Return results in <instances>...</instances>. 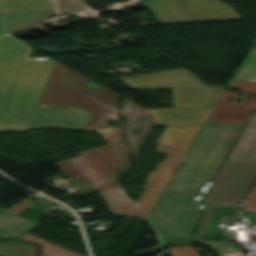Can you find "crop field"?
I'll list each match as a JSON object with an SVG mask.
<instances>
[{
  "label": "crop field",
  "instance_id": "obj_18",
  "mask_svg": "<svg viewBox=\"0 0 256 256\" xmlns=\"http://www.w3.org/2000/svg\"><path fill=\"white\" fill-rule=\"evenodd\" d=\"M193 241L207 246H214L213 248L219 253L220 256H237L242 254L240 249L230 248V242L228 241L202 239H194Z\"/></svg>",
  "mask_w": 256,
  "mask_h": 256
},
{
  "label": "crop field",
  "instance_id": "obj_30",
  "mask_svg": "<svg viewBox=\"0 0 256 256\" xmlns=\"http://www.w3.org/2000/svg\"><path fill=\"white\" fill-rule=\"evenodd\" d=\"M248 67V65H242L237 69L236 72H243L246 68Z\"/></svg>",
  "mask_w": 256,
  "mask_h": 256
},
{
  "label": "crop field",
  "instance_id": "obj_11",
  "mask_svg": "<svg viewBox=\"0 0 256 256\" xmlns=\"http://www.w3.org/2000/svg\"><path fill=\"white\" fill-rule=\"evenodd\" d=\"M132 88L205 85L184 68L123 78Z\"/></svg>",
  "mask_w": 256,
  "mask_h": 256
},
{
  "label": "crop field",
  "instance_id": "obj_15",
  "mask_svg": "<svg viewBox=\"0 0 256 256\" xmlns=\"http://www.w3.org/2000/svg\"><path fill=\"white\" fill-rule=\"evenodd\" d=\"M226 160L256 162V112L253 113Z\"/></svg>",
  "mask_w": 256,
  "mask_h": 256
},
{
  "label": "crop field",
  "instance_id": "obj_1",
  "mask_svg": "<svg viewBox=\"0 0 256 256\" xmlns=\"http://www.w3.org/2000/svg\"><path fill=\"white\" fill-rule=\"evenodd\" d=\"M243 126L205 123L150 217L168 241H190L204 205L198 204Z\"/></svg>",
  "mask_w": 256,
  "mask_h": 256
},
{
  "label": "crop field",
  "instance_id": "obj_13",
  "mask_svg": "<svg viewBox=\"0 0 256 256\" xmlns=\"http://www.w3.org/2000/svg\"><path fill=\"white\" fill-rule=\"evenodd\" d=\"M223 89L215 86L172 87L174 108L213 107Z\"/></svg>",
  "mask_w": 256,
  "mask_h": 256
},
{
  "label": "crop field",
  "instance_id": "obj_7",
  "mask_svg": "<svg viewBox=\"0 0 256 256\" xmlns=\"http://www.w3.org/2000/svg\"><path fill=\"white\" fill-rule=\"evenodd\" d=\"M160 24L243 19L218 0H151Z\"/></svg>",
  "mask_w": 256,
  "mask_h": 256
},
{
  "label": "crop field",
  "instance_id": "obj_14",
  "mask_svg": "<svg viewBox=\"0 0 256 256\" xmlns=\"http://www.w3.org/2000/svg\"><path fill=\"white\" fill-rule=\"evenodd\" d=\"M155 125L204 124L211 108L145 109Z\"/></svg>",
  "mask_w": 256,
  "mask_h": 256
},
{
  "label": "crop field",
  "instance_id": "obj_29",
  "mask_svg": "<svg viewBox=\"0 0 256 256\" xmlns=\"http://www.w3.org/2000/svg\"><path fill=\"white\" fill-rule=\"evenodd\" d=\"M147 221L148 223L151 225V227L154 229V231L157 233L158 236L157 237V240L158 242H165V240L162 238V236L159 234V232L157 231V229L155 228V226L152 224V222L150 221L149 218H147Z\"/></svg>",
  "mask_w": 256,
  "mask_h": 256
},
{
  "label": "crop field",
  "instance_id": "obj_4",
  "mask_svg": "<svg viewBox=\"0 0 256 256\" xmlns=\"http://www.w3.org/2000/svg\"><path fill=\"white\" fill-rule=\"evenodd\" d=\"M76 105L95 113L84 130L118 122L117 95L57 63L37 108Z\"/></svg>",
  "mask_w": 256,
  "mask_h": 256
},
{
  "label": "crop field",
  "instance_id": "obj_31",
  "mask_svg": "<svg viewBox=\"0 0 256 256\" xmlns=\"http://www.w3.org/2000/svg\"><path fill=\"white\" fill-rule=\"evenodd\" d=\"M100 131L104 132V137H108L110 132H111V130H109V129H107V130H100Z\"/></svg>",
  "mask_w": 256,
  "mask_h": 256
},
{
  "label": "crop field",
  "instance_id": "obj_28",
  "mask_svg": "<svg viewBox=\"0 0 256 256\" xmlns=\"http://www.w3.org/2000/svg\"><path fill=\"white\" fill-rule=\"evenodd\" d=\"M116 187H120V185L118 184V182L116 180L107 182V183H103V184H99V185H95L92 186L94 191H100V190H105V189H110V188H116Z\"/></svg>",
  "mask_w": 256,
  "mask_h": 256
},
{
  "label": "crop field",
  "instance_id": "obj_3",
  "mask_svg": "<svg viewBox=\"0 0 256 256\" xmlns=\"http://www.w3.org/2000/svg\"><path fill=\"white\" fill-rule=\"evenodd\" d=\"M32 50L11 35L0 37V95L12 94L17 106L37 104L56 63L30 57Z\"/></svg>",
  "mask_w": 256,
  "mask_h": 256
},
{
  "label": "crop field",
  "instance_id": "obj_12",
  "mask_svg": "<svg viewBox=\"0 0 256 256\" xmlns=\"http://www.w3.org/2000/svg\"><path fill=\"white\" fill-rule=\"evenodd\" d=\"M238 96L239 93L224 91L207 121L244 124L250 110L256 106V96H253L251 101L247 103L252 95L244 94L239 105H227L230 97Z\"/></svg>",
  "mask_w": 256,
  "mask_h": 256
},
{
  "label": "crop field",
  "instance_id": "obj_10",
  "mask_svg": "<svg viewBox=\"0 0 256 256\" xmlns=\"http://www.w3.org/2000/svg\"><path fill=\"white\" fill-rule=\"evenodd\" d=\"M238 206L207 205L194 238L227 240L233 225Z\"/></svg>",
  "mask_w": 256,
  "mask_h": 256
},
{
  "label": "crop field",
  "instance_id": "obj_23",
  "mask_svg": "<svg viewBox=\"0 0 256 256\" xmlns=\"http://www.w3.org/2000/svg\"><path fill=\"white\" fill-rule=\"evenodd\" d=\"M243 211H256V182L243 203Z\"/></svg>",
  "mask_w": 256,
  "mask_h": 256
},
{
  "label": "crop field",
  "instance_id": "obj_25",
  "mask_svg": "<svg viewBox=\"0 0 256 256\" xmlns=\"http://www.w3.org/2000/svg\"><path fill=\"white\" fill-rule=\"evenodd\" d=\"M241 215L249 229L256 231V212H241Z\"/></svg>",
  "mask_w": 256,
  "mask_h": 256
},
{
  "label": "crop field",
  "instance_id": "obj_16",
  "mask_svg": "<svg viewBox=\"0 0 256 256\" xmlns=\"http://www.w3.org/2000/svg\"><path fill=\"white\" fill-rule=\"evenodd\" d=\"M0 210V238L19 239L39 223Z\"/></svg>",
  "mask_w": 256,
  "mask_h": 256
},
{
  "label": "crop field",
  "instance_id": "obj_5",
  "mask_svg": "<svg viewBox=\"0 0 256 256\" xmlns=\"http://www.w3.org/2000/svg\"><path fill=\"white\" fill-rule=\"evenodd\" d=\"M110 129H113L110 137L104 138L107 145L82 151L78 157L55 164L64 174L77 180L87 178L92 184L118 177L115 168L128 161L129 153L127 145L121 140L122 128Z\"/></svg>",
  "mask_w": 256,
  "mask_h": 256
},
{
  "label": "crop field",
  "instance_id": "obj_2",
  "mask_svg": "<svg viewBox=\"0 0 256 256\" xmlns=\"http://www.w3.org/2000/svg\"><path fill=\"white\" fill-rule=\"evenodd\" d=\"M202 125L166 126L156 143V152L167 154L149 173L138 199H130L122 187L100 192L112 214L148 217L153 206L176 173L185 153Z\"/></svg>",
  "mask_w": 256,
  "mask_h": 256
},
{
  "label": "crop field",
  "instance_id": "obj_20",
  "mask_svg": "<svg viewBox=\"0 0 256 256\" xmlns=\"http://www.w3.org/2000/svg\"><path fill=\"white\" fill-rule=\"evenodd\" d=\"M14 107L9 95L0 96V120L14 116Z\"/></svg>",
  "mask_w": 256,
  "mask_h": 256
},
{
  "label": "crop field",
  "instance_id": "obj_19",
  "mask_svg": "<svg viewBox=\"0 0 256 256\" xmlns=\"http://www.w3.org/2000/svg\"><path fill=\"white\" fill-rule=\"evenodd\" d=\"M242 64L250 65L243 73H235L233 78L256 81V48H251Z\"/></svg>",
  "mask_w": 256,
  "mask_h": 256
},
{
  "label": "crop field",
  "instance_id": "obj_34",
  "mask_svg": "<svg viewBox=\"0 0 256 256\" xmlns=\"http://www.w3.org/2000/svg\"><path fill=\"white\" fill-rule=\"evenodd\" d=\"M255 111H256V109H255Z\"/></svg>",
  "mask_w": 256,
  "mask_h": 256
},
{
  "label": "crop field",
  "instance_id": "obj_33",
  "mask_svg": "<svg viewBox=\"0 0 256 256\" xmlns=\"http://www.w3.org/2000/svg\"><path fill=\"white\" fill-rule=\"evenodd\" d=\"M255 256H256V254H255Z\"/></svg>",
  "mask_w": 256,
  "mask_h": 256
},
{
  "label": "crop field",
  "instance_id": "obj_26",
  "mask_svg": "<svg viewBox=\"0 0 256 256\" xmlns=\"http://www.w3.org/2000/svg\"><path fill=\"white\" fill-rule=\"evenodd\" d=\"M31 205H33V203L26 199L20 202L19 204L15 205L14 207L8 209L6 212L16 215L21 211L25 210L26 208L30 207Z\"/></svg>",
  "mask_w": 256,
  "mask_h": 256
},
{
  "label": "crop field",
  "instance_id": "obj_8",
  "mask_svg": "<svg viewBox=\"0 0 256 256\" xmlns=\"http://www.w3.org/2000/svg\"><path fill=\"white\" fill-rule=\"evenodd\" d=\"M256 176V163L224 161L200 203L239 204Z\"/></svg>",
  "mask_w": 256,
  "mask_h": 256
},
{
  "label": "crop field",
  "instance_id": "obj_27",
  "mask_svg": "<svg viewBox=\"0 0 256 256\" xmlns=\"http://www.w3.org/2000/svg\"><path fill=\"white\" fill-rule=\"evenodd\" d=\"M70 120H68L66 117H60L57 118V120L55 121H51V122H44L42 127L45 126H57L61 129H66L65 127L69 124Z\"/></svg>",
  "mask_w": 256,
  "mask_h": 256
},
{
  "label": "crop field",
  "instance_id": "obj_32",
  "mask_svg": "<svg viewBox=\"0 0 256 256\" xmlns=\"http://www.w3.org/2000/svg\"><path fill=\"white\" fill-rule=\"evenodd\" d=\"M145 1H147V2H148V4L150 3V0H145Z\"/></svg>",
  "mask_w": 256,
  "mask_h": 256
},
{
  "label": "crop field",
  "instance_id": "obj_17",
  "mask_svg": "<svg viewBox=\"0 0 256 256\" xmlns=\"http://www.w3.org/2000/svg\"><path fill=\"white\" fill-rule=\"evenodd\" d=\"M21 240L35 241L41 245L40 256H81V254L69 251L63 247L45 241L29 233L24 235Z\"/></svg>",
  "mask_w": 256,
  "mask_h": 256
},
{
  "label": "crop field",
  "instance_id": "obj_22",
  "mask_svg": "<svg viewBox=\"0 0 256 256\" xmlns=\"http://www.w3.org/2000/svg\"><path fill=\"white\" fill-rule=\"evenodd\" d=\"M171 256H199L193 246H172L168 248Z\"/></svg>",
  "mask_w": 256,
  "mask_h": 256
},
{
  "label": "crop field",
  "instance_id": "obj_24",
  "mask_svg": "<svg viewBox=\"0 0 256 256\" xmlns=\"http://www.w3.org/2000/svg\"><path fill=\"white\" fill-rule=\"evenodd\" d=\"M11 98H12V96H11ZM12 102H13V105L15 107L16 116H14L12 118H9V119H6V120H2L3 122L14 120V119H18V118H22V117L26 116L25 113H27V112H37V111H41L42 110V109L34 110L35 106L16 107V105H15V103L13 101V98H12Z\"/></svg>",
  "mask_w": 256,
  "mask_h": 256
},
{
  "label": "crop field",
  "instance_id": "obj_6",
  "mask_svg": "<svg viewBox=\"0 0 256 256\" xmlns=\"http://www.w3.org/2000/svg\"><path fill=\"white\" fill-rule=\"evenodd\" d=\"M58 14H74L89 6L83 0H55ZM55 14L47 0H0V34L15 32L48 20Z\"/></svg>",
  "mask_w": 256,
  "mask_h": 256
},
{
  "label": "crop field",
  "instance_id": "obj_9",
  "mask_svg": "<svg viewBox=\"0 0 256 256\" xmlns=\"http://www.w3.org/2000/svg\"><path fill=\"white\" fill-rule=\"evenodd\" d=\"M92 114L78 107L43 109L42 112L28 113L27 117L3 123L0 121V130L14 128L17 131L41 127L44 120L50 121L56 117L66 116L71 120L67 126L70 129L82 130Z\"/></svg>",
  "mask_w": 256,
  "mask_h": 256
},
{
  "label": "crop field",
  "instance_id": "obj_21",
  "mask_svg": "<svg viewBox=\"0 0 256 256\" xmlns=\"http://www.w3.org/2000/svg\"><path fill=\"white\" fill-rule=\"evenodd\" d=\"M229 87L241 89V92L256 94V82L231 79Z\"/></svg>",
  "mask_w": 256,
  "mask_h": 256
}]
</instances>
